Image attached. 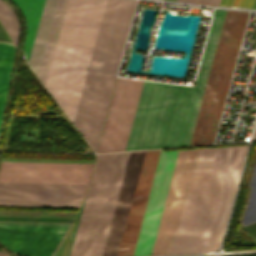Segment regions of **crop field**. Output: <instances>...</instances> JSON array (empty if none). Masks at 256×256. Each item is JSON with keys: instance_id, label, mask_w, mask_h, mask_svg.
<instances>
[{"instance_id": "crop-field-1", "label": "crop field", "mask_w": 256, "mask_h": 256, "mask_svg": "<svg viewBox=\"0 0 256 256\" xmlns=\"http://www.w3.org/2000/svg\"><path fill=\"white\" fill-rule=\"evenodd\" d=\"M247 146L197 150L169 254L218 250Z\"/></svg>"}, {"instance_id": "crop-field-2", "label": "crop field", "mask_w": 256, "mask_h": 256, "mask_svg": "<svg viewBox=\"0 0 256 256\" xmlns=\"http://www.w3.org/2000/svg\"><path fill=\"white\" fill-rule=\"evenodd\" d=\"M106 0H64L43 84L73 122Z\"/></svg>"}, {"instance_id": "crop-field-3", "label": "crop field", "mask_w": 256, "mask_h": 256, "mask_svg": "<svg viewBox=\"0 0 256 256\" xmlns=\"http://www.w3.org/2000/svg\"><path fill=\"white\" fill-rule=\"evenodd\" d=\"M135 0H107L73 124L96 150Z\"/></svg>"}, {"instance_id": "crop-field-4", "label": "crop field", "mask_w": 256, "mask_h": 256, "mask_svg": "<svg viewBox=\"0 0 256 256\" xmlns=\"http://www.w3.org/2000/svg\"><path fill=\"white\" fill-rule=\"evenodd\" d=\"M192 88L144 81L125 151L176 147Z\"/></svg>"}, {"instance_id": "crop-field-5", "label": "crop field", "mask_w": 256, "mask_h": 256, "mask_svg": "<svg viewBox=\"0 0 256 256\" xmlns=\"http://www.w3.org/2000/svg\"><path fill=\"white\" fill-rule=\"evenodd\" d=\"M248 14L226 12L190 145L213 143Z\"/></svg>"}, {"instance_id": "crop-field-6", "label": "crop field", "mask_w": 256, "mask_h": 256, "mask_svg": "<svg viewBox=\"0 0 256 256\" xmlns=\"http://www.w3.org/2000/svg\"><path fill=\"white\" fill-rule=\"evenodd\" d=\"M69 225L0 222V245L20 256H52Z\"/></svg>"}, {"instance_id": "crop-field-7", "label": "crop field", "mask_w": 256, "mask_h": 256, "mask_svg": "<svg viewBox=\"0 0 256 256\" xmlns=\"http://www.w3.org/2000/svg\"><path fill=\"white\" fill-rule=\"evenodd\" d=\"M142 82L117 79L97 153L124 151Z\"/></svg>"}, {"instance_id": "crop-field-8", "label": "crop field", "mask_w": 256, "mask_h": 256, "mask_svg": "<svg viewBox=\"0 0 256 256\" xmlns=\"http://www.w3.org/2000/svg\"><path fill=\"white\" fill-rule=\"evenodd\" d=\"M196 150L177 152L151 255L169 253Z\"/></svg>"}, {"instance_id": "crop-field-9", "label": "crop field", "mask_w": 256, "mask_h": 256, "mask_svg": "<svg viewBox=\"0 0 256 256\" xmlns=\"http://www.w3.org/2000/svg\"><path fill=\"white\" fill-rule=\"evenodd\" d=\"M93 165L3 162L0 182L88 184Z\"/></svg>"}, {"instance_id": "crop-field-10", "label": "crop field", "mask_w": 256, "mask_h": 256, "mask_svg": "<svg viewBox=\"0 0 256 256\" xmlns=\"http://www.w3.org/2000/svg\"><path fill=\"white\" fill-rule=\"evenodd\" d=\"M177 151L160 152L133 256L150 255Z\"/></svg>"}, {"instance_id": "crop-field-11", "label": "crop field", "mask_w": 256, "mask_h": 256, "mask_svg": "<svg viewBox=\"0 0 256 256\" xmlns=\"http://www.w3.org/2000/svg\"><path fill=\"white\" fill-rule=\"evenodd\" d=\"M114 154L97 155L95 170L71 256H87Z\"/></svg>"}, {"instance_id": "crop-field-12", "label": "crop field", "mask_w": 256, "mask_h": 256, "mask_svg": "<svg viewBox=\"0 0 256 256\" xmlns=\"http://www.w3.org/2000/svg\"><path fill=\"white\" fill-rule=\"evenodd\" d=\"M145 152L130 153L102 256H117Z\"/></svg>"}, {"instance_id": "crop-field-13", "label": "crop field", "mask_w": 256, "mask_h": 256, "mask_svg": "<svg viewBox=\"0 0 256 256\" xmlns=\"http://www.w3.org/2000/svg\"><path fill=\"white\" fill-rule=\"evenodd\" d=\"M226 11L215 10L177 147L189 146Z\"/></svg>"}, {"instance_id": "crop-field-14", "label": "crop field", "mask_w": 256, "mask_h": 256, "mask_svg": "<svg viewBox=\"0 0 256 256\" xmlns=\"http://www.w3.org/2000/svg\"><path fill=\"white\" fill-rule=\"evenodd\" d=\"M160 150L147 151L118 256H132Z\"/></svg>"}, {"instance_id": "crop-field-15", "label": "crop field", "mask_w": 256, "mask_h": 256, "mask_svg": "<svg viewBox=\"0 0 256 256\" xmlns=\"http://www.w3.org/2000/svg\"><path fill=\"white\" fill-rule=\"evenodd\" d=\"M129 153H116L89 256H101Z\"/></svg>"}, {"instance_id": "crop-field-16", "label": "crop field", "mask_w": 256, "mask_h": 256, "mask_svg": "<svg viewBox=\"0 0 256 256\" xmlns=\"http://www.w3.org/2000/svg\"><path fill=\"white\" fill-rule=\"evenodd\" d=\"M88 185L0 183V194L83 197Z\"/></svg>"}, {"instance_id": "crop-field-17", "label": "crop field", "mask_w": 256, "mask_h": 256, "mask_svg": "<svg viewBox=\"0 0 256 256\" xmlns=\"http://www.w3.org/2000/svg\"><path fill=\"white\" fill-rule=\"evenodd\" d=\"M57 1L58 0H45L39 27L28 62L29 66L34 71L36 76L38 75L46 41L54 17Z\"/></svg>"}, {"instance_id": "crop-field-18", "label": "crop field", "mask_w": 256, "mask_h": 256, "mask_svg": "<svg viewBox=\"0 0 256 256\" xmlns=\"http://www.w3.org/2000/svg\"><path fill=\"white\" fill-rule=\"evenodd\" d=\"M21 9L26 23L27 34L23 51H25L27 61L33 44V40L38 27L44 0H13Z\"/></svg>"}, {"instance_id": "crop-field-19", "label": "crop field", "mask_w": 256, "mask_h": 256, "mask_svg": "<svg viewBox=\"0 0 256 256\" xmlns=\"http://www.w3.org/2000/svg\"><path fill=\"white\" fill-rule=\"evenodd\" d=\"M15 48L0 43V126Z\"/></svg>"}, {"instance_id": "crop-field-20", "label": "crop field", "mask_w": 256, "mask_h": 256, "mask_svg": "<svg viewBox=\"0 0 256 256\" xmlns=\"http://www.w3.org/2000/svg\"><path fill=\"white\" fill-rule=\"evenodd\" d=\"M82 198L0 195V203L79 205Z\"/></svg>"}, {"instance_id": "crop-field-21", "label": "crop field", "mask_w": 256, "mask_h": 256, "mask_svg": "<svg viewBox=\"0 0 256 256\" xmlns=\"http://www.w3.org/2000/svg\"><path fill=\"white\" fill-rule=\"evenodd\" d=\"M0 21L6 28L9 36L11 37L13 43L16 46L19 33L18 20L14 15L12 9L2 0H0Z\"/></svg>"}, {"instance_id": "crop-field-22", "label": "crop field", "mask_w": 256, "mask_h": 256, "mask_svg": "<svg viewBox=\"0 0 256 256\" xmlns=\"http://www.w3.org/2000/svg\"><path fill=\"white\" fill-rule=\"evenodd\" d=\"M62 2H63V0H59L58 1V5H57L54 21H53V24H52V28H51V31H50L49 39H48V42H47V46H46V49H45L44 57H43L42 64H41V67H40V71H39V75H38L40 80H42V76H43L46 60H47V57H48L51 41H52V38H53V34H54V30H55L56 23H57V20H58V16H59V12H60V9H61Z\"/></svg>"}, {"instance_id": "crop-field-23", "label": "crop field", "mask_w": 256, "mask_h": 256, "mask_svg": "<svg viewBox=\"0 0 256 256\" xmlns=\"http://www.w3.org/2000/svg\"><path fill=\"white\" fill-rule=\"evenodd\" d=\"M254 0H220L218 6L250 9Z\"/></svg>"}, {"instance_id": "crop-field-24", "label": "crop field", "mask_w": 256, "mask_h": 256, "mask_svg": "<svg viewBox=\"0 0 256 256\" xmlns=\"http://www.w3.org/2000/svg\"><path fill=\"white\" fill-rule=\"evenodd\" d=\"M4 206H31V207H63V208H79V206H58V205H14V204H0Z\"/></svg>"}, {"instance_id": "crop-field-25", "label": "crop field", "mask_w": 256, "mask_h": 256, "mask_svg": "<svg viewBox=\"0 0 256 256\" xmlns=\"http://www.w3.org/2000/svg\"><path fill=\"white\" fill-rule=\"evenodd\" d=\"M193 3L205 4V5H218L219 0H194Z\"/></svg>"}, {"instance_id": "crop-field-26", "label": "crop field", "mask_w": 256, "mask_h": 256, "mask_svg": "<svg viewBox=\"0 0 256 256\" xmlns=\"http://www.w3.org/2000/svg\"><path fill=\"white\" fill-rule=\"evenodd\" d=\"M178 1H181V2H189V3H192L193 0H178Z\"/></svg>"}, {"instance_id": "crop-field-27", "label": "crop field", "mask_w": 256, "mask_h": 256, "mask_svg": "<svg viewBox=\"0 0 256 256\" xmlns=\"http://www.w3.org/2000/svg\"><path fill=\"white\" fill-rule=\"evenodd\" d=\"M252 140H256V127H255V131H254V135H253V139Z\"/></svg>"}, {"instance_id": "crop-field-28", "label": "crop field", "mask_w": 256, "mask_h": 256, "mask_svg": "<svg viewBox=\"0 0 256 256\" xmlns=\"http://www.w3.org/2000/svg\"><path fill=\"white\" fill-rule=\"evenodd\" d=\"M0 256H8V255H6V254L0 252Z\"/></svg>"}, {"instance_id": "crop-field-29", "label": "crop field", "mask_w": 256, "mask_h": 256, "mask_svg": "<svg viewBox=\"0 0 256 256\" xmlns=\"http://www.w3.org/2000/svg\"><path fill=\"white\" fill-rule=\"evenodd\" d=\"M174 1H177V0H174Z\"/></svg>"}]
</instances>
